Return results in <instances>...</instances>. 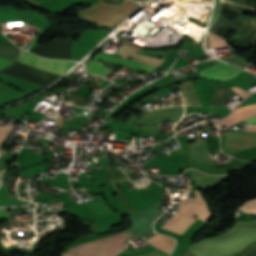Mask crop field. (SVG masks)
Returning <instances> with one entry per match:
<instances>
[{
  "label": "crop field",
  "mask_w": 256,
  "mask_h": 256,
  "mask_svg": "<svg viewBox=\"0 0 256 256\" xmlns=\"http://www.w3.org/2000/svg\"><path fill=\"white\" fill-rule=\"evenodd\" d=\"M212 239L233 254L256 240V228L231 227L224 233L212 237ZM212 239H203L191 245L189 249L197 256L231 255Z\"/></svg>",
  "instance_id": "8a807250"
},
{
  "label": "crop field",
  "mask_w": 256,
  "mask_h": 256,
  "mask_svg": "<svg viewBox=\"0 0 256 256\" xmlns=\"http://www.w3.org/2000/svg\"><path fill=\"white\" fill-rule=\"evenodd\" d=\"M126 236H130L129 233L127 232H123V233H119L113 236H109L94 242H90V243H86V244H82L79 246H75V247H71L68 251V253L74 252V251H78L81 249H85L88 247H92L98 244H102L105 242H109L112 240H116L119 238H123ZM129 237L123 238V239H119L116 241H112L109 243H105L99 246H95L92 248H88L85 250H81L78 252H74L71 254H67V256H115L117 253H119L121 250H123L126 247L125 242L127 241ZM66 256V255H64Z\"/></svg>",
  "instance_id": "ac0d7876"
},
{
  "label": "crop field",
  "mask_w": 256,
  "mask_h": 256,
  "mask_svg": "<svg viewBox=\"0 0 256 256\" xmlns=\"http://www.w3.org/2000/svg\"><path fill=\"white\" fill-rule=\"evenodd\" d=\"M162 205V202L151 206L129 218L133 222V226L125 229L132 233L136 237L144 236L152 231L153 221L159 217L163 211L158 208Z\"/></svg>",
  "instance_id": "34b2d1b8"
},
{
  "label": "crop field",
  "mask_w": 256,
  "mask_h": 256,
  "mask_svg": "<svg viewBox=\"0 0 256 256\" xmlns=\"http://www.w3.org/2000/svg\"><path fill=\"white\" fill-rule=\"evenodd\" d=\"M196 198H188L181 200L178 212L194 218L197 215L198 219L208 222L212 216L210 209L204 200L200 191L195 190Z\"/></svg>",
  "instance_id": "412701ff"
},
{
  "label": "crop field",
  "mask_w": 256,
  "mask_h": 256,
  "mask_svg": "<svg viewBox=\"0 0 256 256\" xmlns=\"http://www.w3.org/2000/svg\"><path fill=\"white\" fill-rule=\"evenodd\" d=\"M17 61L53 72L57 74H64L72 66L74 62L59 61V60H46L34 55H31L22 50L20 57Z\"/></svg>",
  "instance_id": "f4fd0767"
},
{
  "label": "crop field",
  "mask_w": 256,
  "mask_h": 256,
  "mask_svg": "<svg viewBox=\"0 0 256 256\" xmlns=\"http://www.w3.org/2000/svg\"><path fill=\"white\" fill-rule=\"evenodd\" d=\"M198 223L177 212L161 229L186 236Z\"/></svg>",
  "instance_id": "dd49c442"
},
{
  "label": "crop field",
  "mask_w": 256,
  "mask_h": 256,
  "mask_svg": "<svg viewBox=\"0 0 256 256\" xmlns=\"http://www.w3.org/2000/svg\"><path fill=\"white\" fill-rule=\"evenodd\" d=\"M121 47L126 48L130 51H133L135 53L142 50V49L138 48L137 46H135L134 44H132L131 42H129L125 39H122ZM121 47L119 48V51H118L117 55H121L122 58H124V59L129 57V58H131L133 60H136V61H140V62H143V63H146V64L158 65V66H160V64L165 60L164 58L158 59V58H155V57L135 54V53L130 52V51H128L126 49H123Z\"/></svg>",
  "instance_id": "e52e79f7"
},
{
  "label": "crop field",
  "mask_w": 256,
  "mask_h": 256,
  "mask_svg": "<svg viewBox=\"0 0 256 256\" xmlns=\"http://www.w3.org/2000/svg\"><path fill=\"white\" fill-rule=\"evenodd\" d=\"M239 72H241V70L220 63L200 71V75L211 79L226 80L234 77Z\"/></svg>",
  "instance_id": "d8731c3e"
},
{
  "label": "crop field",
  "mask_w": 256,
  "mask_h": 256,
  "mask_svg": "<svg viewBox=\"0 0 256 256\" xmlns=\"http://www.w3.org/2000/svg\"><path fill=\"white\" fill-rule=\"evenodd\" d=\"M255 115H256V104L240 107L234 110L228 118L220 120L215 123H211V124L231 125L233 123L246 120Z\"/></svg>",
  "instance_id": "5a996713"
},
{
  "label": "crop field",
  "mask_w": 256,
  "mask_h": 256,
  "mask_svg": "<svg viewBox=\"0 0 256 256\" xmlns=\"http://www.w3.org/2000/svg\"><path fill=\"white\" fill-rule=\"evenodd\" d=\"M94 59L104 61V62H110V63L116 64V65L121 64L124 66L134 68L136 70L144 71V72H151L152 70H154L156 68L154 66L145 65V64L137 63V62L130 61V60H124V59L117 58V57L103 54V53H98Z\"/></svg>",
  "instance_id": "3316defc"
},
{
  "label": "crop field",
  "mask_w": 256,
  "mask_h": 256,
  "mask_svg": "<svg viewBox=\"0 0 256 256\" xmlns=\"http://www.w3.org/2000/svg\"><path fill=\"white\" fill-rule=\"evenodd\" d=\"M185 106H202L190 81L179 84Z\"/></svg>",
  "instance_id": "28ad6ade"
},
{
  "label": "crop field",
  "mask_w": 256,
  "mask_h": 256,
  "mask_svg": "<svg viewBox=\"0 0 256 256\" xmlns=\"http://www.w3.org/2000/svg\"><path fill=\"white\" fill-rule=\"evenodd\" d=\"M146 241L168 253H171L172 247L175 244L174 239L158 234L146 239Z\"/></svg>",
  "instance_id": "d1516ede"
},
{
  "label": "crop field",
  "mask_w": 256,
  "mask_h": 256,
  "mask_svg": "<svg viewBox=\"0 0 256 256\" xmlns=\"http://www.w3.org/2000/svg\"><path fill=\"white\" fill-rule=\"evenodd\" d=\"M227 46L226 42L224 39L221 37L214 35V34H209V47L211 48H219V47H224Z\"/></svg>",
  "instance_id": "22f410ed"
},
{
  "label": "crop field",
  "mask_w": 256,
  "mask_h": 256,
  "mask_svg": "<svg viewBox=\"0 0 256 256\" xmlns=\"http://www.w3.org/2000/svg\"><path fill=\"white\" fill-rule=\"evenodd\" d=\"M221 60L225 61V62H228L230 64H233V65H237V66H240V67H244L247 63H246V59H243V58H240L236 55H233V56H229V57H225V58H221Z\"/></svg>",
  "instance_id": "cbeb9de0"
},
{
  "label": "crop field",
  "mask_w": 256,
  "mask_h": 256,
  "mask_svg": "<svg viewBox=\"0 0 256 256\" xmlns=\"http://www.w3.org/2000/svg\"><path fill=\"white\" fill-rule=\"evenodd\" d=\"M10 127H11V126H10ZM10 127H6V126L1 127V126H0V147L2 146V144H3L4 140H5V138L7 137L9 131L11 130Z\"/></svg>",
  "instance_id": "5142ce71"
},
{
  "label": "crop field",
  "mask_w": 256,
  "mask_h": 256,
  "mask_svg": "<svg viewBox=\"0 0 256 256\" xmlns=\"http://www.w3.org/2000/svg\"><path fill=\"white\" fill-rule=\"evenodd\" d=\"M87 72L93 73V74H96V75H101L103 77L108 73L107 71H103V70H100V69H97V68H91V67L87 68Z\"/></svg>",
  "instance_id": "d9b57169"
},
{
  "label": "crop field",
  "mask_w": 256,
  "mask_h": 256,
  "mask_svg": "<svg viewBox=\"0 0 256 256\" xmlns=\"http://www.w3.org/2000/svg\"><path fill=\"white\" fill-rule=\"evenodd\" d=\"M88 66H93V67H97V68H100V69H103V70H107V71H111L112 69L110 68H107L103 65V63L101 62H97V61H91Z\"/></svg>",
  "instance_id": "733c2abd"
},
{
  "label": "crop field",
  "mask_w": 256,
  "mask_h": 256,
  "mask_svg": "<svg viewBox=\"0 0 256 256\" xmlns=\"http://www.w3.org/2000/svg\"><path fill=\"white\" fill-rule=\"evenodd\" d=\"M12 62L6 60V59H3L0 57V69L8 66L9 64H11Z\"/></svg>",
  "instance_id": "4a817a6b"
},
{
  "label": "crop field",
  "mask_w": 256,
  "mask_h": 256,
  "mask_svg": "<svg viewBox=\"0 0 256 256\" xmlns=\"http://www.w3.org/2000/svg\"><path fill=\"white\" fill-rule=\"evenodd\" d=\"M8 216V213L5 209H0V219L6 218Z\"/></svg>",
  "instance_id": "bc2a9ffb"
},
{
  "label": "crop field",
  "mask_w": 256,
  "mask_h": 256,
  "mask_svg": "<svg viewBox=\"0 0 256 256\" xmlns=\"http://www.w3.org/2000/svg\"><path fill=\"white\" fill-rule=\"evenodd\" d=\"M245 122H246L247 125H250V124L256 122V116L253 117V118H250V119L246 120Z\"/></svg>",
  "instance_id": "214f88e0"
},
{
  "label": "crop field",
  "mask_w": 256,
  "mask_h": 256,
  "mask_svg": "<svg viewBox=\"0 0 256 256\" xmlns=\"http://www.w3.org/2000/svg\"><path fill=\"white\" fill-rule=\"evenodd\" d=\"M245 131H256V127H245Z\"/></svg>",
  "instance_id": "92a150f3"
}]
</instances>
